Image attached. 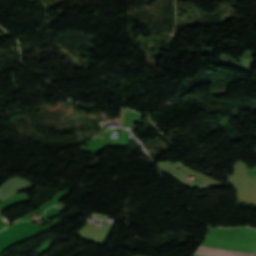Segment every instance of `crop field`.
<instances>
[{
	"label": "crop field",
	"mask_w": 256,
	"mask_h": 256,
	"mask_svg": "<svg viewBox=\"0 0 256 256\" xmlns=\"http://www.w3.org/2000/svg\"><path fill=\"white\" fill-rule=\"evenodd\" d=\"M197 255L204 256H254V253L251 252H243V251H235V250H227V249H219V248H211V247H203L200 246L198 250L195 252Z\"/></svg>",
	"instance_id": "1"
}]
</instances>
